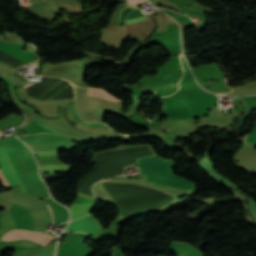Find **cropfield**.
<instances>
[{
  "mask_svg": "<svg viewBox=\"0 0 256 256\" xmlns=\"http://www.w3.org/2000/svg\"><path fill=\"white\" fill-rule=\"evenodd\" d=\"M139 166H140L141 173L160 176V177H166L169 179L194 184L193 182L185 178H179L172 173L171 171L173 166L172 160H165L160 157L152 156L148 158L139 159Z\"/></svg>",
  "mask_w": 256,
  "mask_h": 256,
  "instance_id": "crop-field-1",
  "label": "crop field"
},
{
  "mask_svg": "<svg viewBox=\"0 0 256 256\" xmlns=\"http://www.w3.org/2000/svg\"><path fill=\"white\" fill-rule=\"evenodd\" d=\"M0 171L3 174L4 178L6 179L7 183L9 184L10 188L20 184L22 191L24 193H28L9 150L0 156ZM1 173H0V179L2 180V185L5 186L7 189H9V186L6 183Z\"/></svg>",
  "mask_w": 256,
  "mask_h": 256,
  "instance_id": "crop-field-2",
  "label": "crop field"
},
{
  "mask_svg": "<svg viewBox=\"0 0 256 256\" xmlns=\"http://www.w3.org/2000/svg\"><path fill=\"white\" fill-rule=\"evenodd\" d=\"M66 230L71 231H86L89 235L102 230L97 220L90 214L70 222Z\"/></svg>",
  "mask_w": 256,
  "mask_h": 256,
  "instance_id": "crop-field-3",
  "label": "crop field"
},
{
  "mask_svg": "<svg viewBox=\"0 0 256 256\" xmlns=\"http://www.w3.org/2000/svg\"><path fill=\"white\" fill-rule=\"evenodd\" d=\"M146 182L150 183V184H154V185L170 187L174 190L195 191V186H193V185L176 182V181L160 179V178H155V177H151V176L148 177Z\"/></svg>",
  "mask_w": 256,
  "mask_h": 256,
  "instance_id": "crop-field-4",
  "label": "crop field"
},
{
  "mask_svg": "<svg viewBox=\"0 0 256 256\" xmlns=\"http://www.w3.org/2000/svg\"><path fill=\"white\" fill-rule=\"evenodd\" d=\"M91 204H72L69 208L71 220L82 217L88 213V206Z\"/></svg>",
  "mask_w": 256,
  "mask_h": 256,
  "instance_id": "crop-field-5",
  "label": "crop field"
},
{
  "mask_svg": "<svg viewBox=\"0 0 256 256\" xmlns=\"http://www.w3.org/2000/svg\"><path fill=\"white\" fill-rule=\"evenodd\" d=\"M69 112L71 113L72 117L82 123L83 125L85 126H88V127H96V128H109L107 127L105 124L103 123H87V122H84L82 120H80V118L77 116L76 112H75V109H74V100L69 102Z\"/></svg>",
  "mask_w": 256,
  "mask_h": 256,
  "instance_id": "crop-field-6",
  "label": "crop field"
},
{
  "mask_svg": "<svg viewBox=\"0 0 256 256\" xmlns=\"http://www.w3.org/2000/svg\"><path fill=\"white\" fill-rule=\"evenodd\" d=\"M89 96H98L101 98H105L112 101H119L118 99L108 95L106 92L102 91L101 89H93L88 88Z\"/></svg>",
  "mask_w": 256,
  "mask_h": 256,
  "instance_id": "crop-field-7",
  "label": "crop field"
},
{
  "mask_svg": "<svg viewBox=\"0 0 256 256\" xmlns=\"http://www.w3.org/2000/svg\"><path fill=\"white\" fill-rule=\"evenodd\" d=\"M146 19L143 15L140 14V12L138 11V9L130 12L128 14V16L126 17V23L125 24H129V23H133V22H137L140 20Z\"/></svg>",
  "mask_w": 256,
  "mask_h": 256,
  "instance_id": "crop-field-8",
  "label": "crop field"
},
{
  "mask_svg": "<svg viewBox=\"0 0 256 256\" xmlns=\"http://www.w3.org/2000/svg\"><path fill=\"white\" fill-rule=\"evenodd\" d=\"M129 3V2H128ZM129 5L130 6H133V7H136L137 5H134V4H132V3H129ZM130 6H127V7H125V8H123L121 11H120V13H119V18H118V24L120 25V24H123V22H124V17H125V15L128 13V12H130L131 10H134V9H136V8H133V7H130Z\"/></svg>",
  "mask_w": 256,
  "mask_h": 256,
  "instance_id": "crop-field-9",
  "label": "crop field"
},
{
  "mask_svg": "<svg viewBox=\"0 0 256 256\" xmlns=\"http://www.w3.org/2000/svg\"><path fill=\"white\" fill-rule=\"evenodd\" d=\"M54 252H55V250H50V251H44V252L28 254V255H23V256H54Z\"/></svg>",
  "mask_w": 256,
  "mask_h": 256,
  "instance_id": "crop-field-10",
  "label": "crop field"
},
{
  "mask_svg": "<svg viewBox=\"0 0 256 256\" xmlns=\"http://www.w3.org/2000/svg\"><path fill=\"white\" fill-rule=\"evenodd\" d=\"M62 81H63V80H62ZM62 81H61V82H62ZM59 83H60V82H59ZM59 83H58V84H59ZM31 84H33V83H30V84L26 85L25 87H27V86H29V85H31ZM58 84H57V85H58ZM57 85H56V86H57ZM56 86H54V87H56ZM70 86H71V85H70ZM70 86H69V87H70ZM54 87H53V88H54ZM69 87H68V88H69ZM53 88H52V89H53ZM52 89H51V90H52ZM66 89H67V88H66ZM66 89H65V90H66ZM51 90H49L48 92H50ZM65 90H64V91H65ZM64 91H63V92H64ZM48 92H47V93H48ZM63 92H62V93H63ZM47 93H46V94H47ZM46 94H44L42 97H44ZM60 94H61V93H60ZM60 94H59V95H60ZM59 95H58V96H59ZM58 96H57V97H58ZM42 97H41V98H42ZM57 97H56V98H57ZM41 98H39V100H40ZM54 99H55V98H54ZM54 99H53V100H54Z\"/></svg>",
  "mask_w": 256,
  "mask_h": 256,
  "instance_id": "crop-field-11",
  "label": "crop field"
},
{
  "mask_svg": "<svg viewBox=\"0 0 256 256\" xmlns=\"http://www.w3.org/2000/svg\"><path fill=\"white\" fill-rule=\"evenodd\" d=\"M47 205H48V203H46ZM48 207H49V205H48ZM50 208V207H49ZM51 210V209H50ZM52 213V212H51ZM53 217V216H52Z\"/></svg>",
  "mask_w": 256,
  "mask_h": 256,
  "instance_id": "crop-field-12",
  "label": "crop field"
},
{
  "mask_svg": "<svg viewBox=\"0 0 256 256\" xmlns=\"http://www.w3.org/2000/svg\"><path fill=\"white\" fill-rule=\"evenodd\" d=\"M215 100H216V98H215Z\"/></svg>",
  "mask_w": 256,
  "mask_h": 256,
  "instance_id": "crop-field-13",
  "label": "crop field"
}]
</instances>
